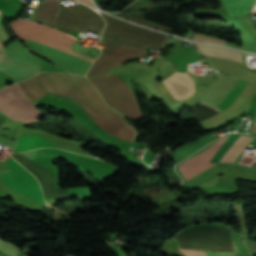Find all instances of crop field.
Listing matches in <instances>:
<instances>
[{
  "instance_id": "obj_1",
  "label": "crop field",
  "mask_w": 256,
  "mask_h": 256,
  "mask_svg": "<svg viewBox=\"0 0 256 256\" xmlns=\"http://www.w3.org/2000/svg\"><path fill=\"white\" fill-rule=\"evenodd\" d=\"M18 85L33 102L46 93L76 101L100 128L115 137L132 141L136 135L134 130L125 123L124 118L106 105L96 89L85 78L41 73L33 79L18 82Z\"/></svg>"
},
{
  "instance_id": "obj_2",
  "label": "crop field",
  "mask_w": 256,
  "mask_h": 256,
  "mask_svg": "<svg viewBox=\"0 0 256 256\" xmlns=\"http://www.w3.org/2000/svg\"><path fill=\"white\" fill-rule=\"evenodd\" d=\"M102 14V13H101ZM107 26L102 39L146 49L149 45L160 48L168 35L137 27L128 22L102 14ZM103 54L96 60L88 75L104 74L127 59L147 52L106 41Z\"/></svg>"
},
{
  "instance_id": "obj_3",
  "label": "crop field",
  "mask_w": 256,
  "mask_h": 256,
  "mask_svg": "<svg viewBox=\"0 0 256 256\" xmlns=\"http://www.w3.org/2000/svg\"><path fill=\"white\" fill-rule=\"evenodd\" d=\"M60 0H44L37 7L33 18L49 25H54ZM103 20L93 10L82 5L75 8L60 5L55 27L67 31H82L85 29L100 32Z\"/></svg>"
},
{
  "instance_id": "obj_4",
  "label": "crop field",
  "mask_w": 256,
  "mask_h": 256,
  "mask_svg": "<svg viewBox=\"0 0 256 256\" xmlns=\"http://www.w3.org/2000/svg\"><path fill=\"white\" fill-rule=\"evenodd\" d=\"M172 238L178 239L180 249H205L235 252L231 230L225 225H202L186 228Z\"/></svg>"
},
{
  "instance_id": "obj_5",
  "label": "crop field",
  "mask_w": 256,
  "mask_h": 256,
  "mask_svg": "<svg viewBox=\"0 0 256 256\" xmlns=\"http://www.w3.org/2000/svg\"><path fill=\"white\" fill-rule=\"evenodd\" d=\"M87 78L98 88L114 110L128 119L141 118L135 98L120 76H93Z\"/></svg>"
},
{
  "instance_id": "obj_6",
  "label": "crop field",
  "mask_w": 256,
  "mask_h": 256,
  "mask_svg": "<svg viewBox=\"0 0 256 256\" xmlns=\"http://www.w3.org/2000/svg\"><path fill=\"white\" fill-rule=\"evenodd\" d=\"M35 106L16 83L0 90V111L12 119L28 123L42 118L46 113Z\"/></svg>"
},
{
  "instance_id": "obj_7",
  "label": "crop field",
  "mask_w": 256,
  "mask_h": 256,
  "mask_svg": "<svg viewBox=\"0 0 256 256\" xmlns=\"http://www.w3.org/2000/svg\"><path fill=\"white\" fill-rule=\"evenodd\" d=\"M0 70L19 80L31 77L38 71L36 61L17 40L6 48L0 60Z\"/></svg>"
},
{
  "instance_id": "obj_8",
  "label": "crop field",
  "mask_w": 256,
  "mask_h": 256,
  "mask_svg": "<svg viewBox=\"0 0 256 256\" xmlns=\"http://www.w3.org/2000/svg\"><path fill=\"white\" fill-rule=\"evenodd\" d=\"M5 163L10 171L0 172L3 184L26 197L44 203L42 192L36 179L12 158L5 160Z\"/></svg>"
},
{
  "instance_id": "obj_9",
  "label": "crop field",
  "mask_w": 256,
  "mask_h": 256,
  "mask_svg": "<svg viewBox=\"0 0 256 256\" xmlns=\"http://www.w3.org/2000/svg\"><path fill=\"white\" fill-rule=\"evenodd\" d=\"M25 45L29 48V50L57 64L59 67L72 74L85 75L91 65V62L89 61L73 56L59 49L40 44L30 39L26 41Z\"/></svg>"
},
{
  "instance_id": "obj_10",
  "label": "crop field",
  "mask_w": 256,
  "mask_h": 256,
  "mask_svg": "<svg viewBox=\"0 0 256 256\" xmlns=\"http://www.w3.org/2000/svg\"><path fill=\"white\" fill-rule=\"evenodd\" d=\"M230 137V136H229ZM225 137L203 152L193 156L189 160L185 161L181 165H179L180 171L187 181L191 180L192 178L196 177L197 175L201 174L202 172L206 171L210 167L214 166L217 163H208L215 152L220 148L223 142L229 138Z\"/></svg>"
},
{
  "instance_id": "obj_11",
  "label": "crop field",
  "mask_w": 256,
  "mask_h": 256,
  "mask_svg": "<svg viewBox=\"0 0 256 256\" xmlns=\"http://www.w3.org/2000/svg\"><path fill=\"white\" fill-rule=\"evenodd\" d=\"M170 53V55L163 58L171 60L174 63L176 70L179 71L186 72L187 64L197 60H202L200 55L194 50L192 46L187 49L176 48L171 50Z\"/></svg>"
},
{
  "instance_id": "obj_12",
  "label": "crop field",
  "mask_w": 256,
  "mask_h": 256,
  "mask_svg": "<svg viewBox=\"0 0 256 256\" xmlns=\"http://www.w3.org/2000/svg\"><path fill=\"white\" fill-rule=\"evenodd\" d=\"M40 147H56V146L51 144L47 140L43 139L39 135L32 134L28 136L18 137L16 148L12 152H23V151L40 148Z\"/></svg>"
},
{
  "instance_id": "obj_13",
  "label": "crop field",
  "mask_w": 256,
  "mask_h": 256,
  "mask_svg": "<svg viewBox=\"0 0 256 256\" xmlns=\"http://www.w3.org/2000/svg\"><path fill=\"white\" fill-rule=\"evenodd\" d=\"M192 43L198 48V50L202 54L243 61L240 52H236V51H232V50H228L220 47L202 45L194 42Z\"/></svg>"
},
{
  "instance_id": "obj_14",
  "label": "crop field",
  "mask_w": 256,
  "mask_h": 256,
  "mask_svg": "<svg viewBox=\"0 0 256 256\" xmlns=\"http://www.w3.org/2000/svg\"><path fill=\"white\" fill-rule=\"evenodd\" d=\"M244 85H245V82L237 80L236 83L233 85V87L222 99V101L218 104L217 108L223 111L227 107H229L232 104V102L237 98V96L240 94Z\"/></svg>"
},
{
  "instance_id": "obj_15",
  "label": "crop field",
  "mask_w": 256,
  "mask_h": 256,
  "mask_svg": "<svg viewBox=\"0 0 256 256\" xmlns=\"http://www.w3.org/2000/svg\"><path fill=\"white\" fill-rule=\"evenodd\" d=\"M117 16L125 18V19H127L129 21H134V22H136L138 24H142V25H145V26H149L151 28L159 29L161 31L169 30V29H165V28L159 27L157 25L151 24V23H149V22H147V21H145L143 19L131 16V15H128V14H125V13H122V12H119Z\"/></svg>"
},
{
  "instance_id": "obj_16",
  "label": "crop field",
  "mask_w": 256,
  "mask_h": 256,
  "mask_svg": "<svg viewBox=\"0 0 256 256\" xmlns=\"http://www.w3.org/2000/svg\"><path fill=\"white\" fill-rule=\"evenodd\" d=\"M187 256H232V254L215 253V252H203V251H186Z\"/></svg>"
},
{
  "instance_id": "obj_17",
  "label": "crop field",
  "mask_w": 256,
  "mask_h": 256,
  "mask_svg": "<svg viewBox=\"0 0 256 256\" xmlns=\"http://www.w3.org/2000/svg\"><path fill=\"white\" fill-rule=\"evenodd\" d=\"M4 242L0 240V250L1 251L5 252V253H8L10 255H17L18 254V252H19L18 248H16L13 245L6 244L7 242L6 243H4Z\"/></svg>"
},
{
  "instance_id": "obj_18",
  "label": "crop field",
  "mask_w": 256,
  "mask_h": 256,
  "mask_svg": "<svg viewBox=\"0 0 256 256\" xmlns=\"http://www.w3.org/2000/svg\"><path fill=\"white\" fill-rule=\"evenodd\" d=\"M6 43L0 36V59L2 58V56L5 54V51L3 49V44Z\"/></svg>"
},
{
  "instance_id": "obj_19",
  "label": "crop field",
  "mask_w": 256,
  "mask_h": 256,
  "mask_svg": "<svg viewBox=\"0 0 256 256\" xmlns=\"http://www.w3.org/2000/svg\"><path fill=\"white\" fill-rule=\"evenodd\" d=\"M251 131L256 132V113H255V118H254V122H253V126H252Z\"/></svg>"
},
{
  "instance_id": "obj_20",
  "label": "crop field",
  "mask_w": 256,
  "mask_h": 256,
  "mask_svg": "<svg viewBox=\"0 0 256 256\" xmlns=\"http://www.w3.org/2000/svg\"><path fill=\"white\" fill-rule=\"evenodd\" d=\"M233 256H235V255H233Z\"/></svg>"
},
{
  "instance_id": "obj_21",
  "label": "crop field",
  "mask_w": 256,
  "mask_h": 256,
  "mask_svg": "<svg viewBox=\"0 0 256 256\" xmlns=\"http://www.w3.org/2000/svg\"><path fill=\"white\" fill-rule=\"evenodd\" d=\"M255 141H256V139H255Z\"/></svg>"
}]
</instances>
